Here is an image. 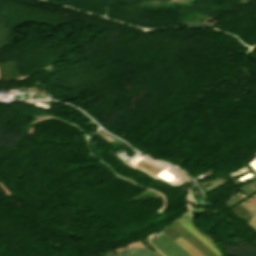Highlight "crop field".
I'll return each mask as SVG.
<instances>
[{
    "label": "crop field",
    "instance_id": "obj_1",
    "mask_svg": "<svg viewBox=\"0 0 256 256\" xmlns=\"http://www.w3.org/2000/svg\"><path fill=\"white\" fill-rule=\"evenodd\" d=\"M116 253L119 256H154L155 255L150 253L147 248H124Z\"/></svg>",
    "mask_w": 256,
    "mask_h": 256
},
{
    "label": "crop field",
    "instance_id": "obj_2",
    "mask_svg": "<svg viewBox=\"0 0 256 256\" xmlns=\"http://www.w3.org/2000/svg\"><path fill=\"white\" fill-rule=\"evenodd\" d=\"M177 221L181 223L185 228H187L191 233H193L204 244H206L210 249H212L218 256H221L220 253L216 250V248L208 240L202 237L187 221L183 219H178Z\"/></svg>",
    "mask_w": 256,
    "mask_h": 256
},
{
    "label": "crop field",
    "instance_id": "obj_3",
    "mask_svg": "<svg viewBox=\"0 0 256 256\" xmlns=\"http://www.w3.org/2000/svg\"><path fill=\"white\" fill-rule=\"evenodd\" d=\"M179 246H181L188 254L191 256H203L200 254L196 249H194L190 244H188L184 239L181 237L174 240Z\"/></svg>",
    "mask_w": 256,
    "mask_h": 256
},
{
    "label": "crop field",
    "instance_id": "obj_4",
    "mask_svg": "<svg viewBox=\"0 0 256 256\" xmlns=\"http://www.w3.org/2000/svg\"><path fill=\"white\" fill-rule=\"evenodd\" d=\"M240 205L244 206L249 211V213L252 217L249 222V225L256 230V212H255V210L252 208L251 205H249L245 201L243 203H241Z\"/></svg>",
    "mask_w": 256,
    "mask_h": 256
},
{
    "label": "crop field",
    "instance_id": "obj_5",
    "mask_svg": "<svg viewBox=\"0 0 256 256\" xmlns=\"http://www.w3.org/2000/svg\"><path fill=\"white\" fill-rule=\"evenodd\" d=\"M249 201H251L256 206V197L251 199V200H249Z\"/></svg>",
    "mask_w": 256,
    "mask_h": 256
}]
</instances>
